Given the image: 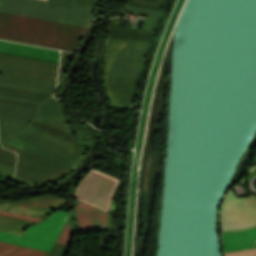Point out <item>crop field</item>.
<instances>
[{"instance_id":"1","label":"crop field","mask_w":256,"mask_h":256,"mask_svg":"<svg viewBox=\"0 0 256 256\" xmlns=\"http://www.w3.org/2000/svg\"><path fill=\"white\" fill-rule=\"evenodd\" d=\"M242 200L256 220V198L252 195L243 197ZM242 200L235 197L230 190L221 209L223 230L241 229L256 224Z\"/></svg>"},{"instance_id":"2","label":"crop field","mask_w":256,"mask_h":256,"mask_svg":"<svg viewBox=\"0 0 256 256\" xmlns=\"http://www.w3.org/2000/svg\"><path fill=\"white\" fill-rule=\"evenodd\" d=\"M222 239L225 252L251 249L256 241V226L244 230L223 232Z\"/></svg>"},{"instance_id":"3","label":"crop field","mask_w":256,"mask_h":256,"mask_svg":"<svg viewBox=\"0 0 256 256\" xmlns=\"http://www.w3.org/2000/svg\"><path fill=\"white\" fill-rule=\"evenodd\" d=\"M246 252H250V255H249V253H246ZM239 253H246V254L233 255V254H239ZM255 254H256L255 249L225 253L226 256H229V255H233V256H248V255L249 256H255Z\"/></svg>"}]
</instances>
